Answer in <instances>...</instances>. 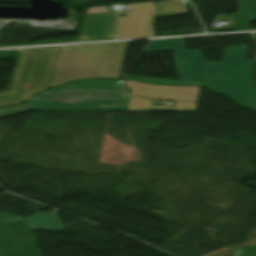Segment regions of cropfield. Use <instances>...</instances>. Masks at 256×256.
I'll list each match as a JSON object with an SVG mask.
<instances>
[{"label":"crop field","instance_id":"8a807250","mask_svg":"<svg viewBox=\"0 0 256 256\" xmlns=\"http://www.w3.org/2000/svg\"><path fill=\"white\" fill-rule=\"evenodd\" d=\"M128 42L60 47L49 88L73 80L120 79Z\"/></svg>","mask_w":256,"mask_h":256},{"label":"crop field","instance_id":"ac0d7876","mask_svg":"<svg viewBox=\"0 0 256 256\" xmlns=\"http://www.w3.org/2000/svg\"><path fill=\"white\" fill-rule=\"evenodd\" d=\"M116 80H90L35 95L33 110H126L128 96Z\"/></svg>","mask_w":256,"mask_h":256},{"label":"crop field","instance_id":"34b2d1b8","mask_svg":"<svg viewBox=\"0 0 256 256\" xmlns=\"http://www.w3.org/2000/svg\"><path fill=\"white\" fill-rule=\"evenodd\" d=\"M252 66L253 61H246V46L226 48L223 62H207L202 86L254 108L256 83L251 80Z\"/></svg>","mask_w":256,"mask_h":256},{"label":"crop field","instance_id":"412701ff","mask_svg":"<svg viewBox=\"0 0 256 256\" xmlns=\"http://www.w3.org/2000/svg\"><path fill=\"white\" fill-rule=\"evenodd\" d=\"M59 47L22 50L10 90L0 92V107L20 103L47 89Z\"/></svg>","mask_w":256,"mask_h":256},{"label":"crop field","instance_id":"f4fd0767","mask_svg":"<svg viewBox=\"0 0 256 256\" xmlns=\"http://www.w3.org/2000/svg\"><path fill=\"white\" fill-rule=\"evenodd\" d=\"M174 50L180 80L201 82L204 59L200 50H186L183 39L153 40L145 52Z\"/></svg>","mask_w":256,"mask_h":256},{"label":"crop field","instance_id":"dd49c442","mask_svg":"<svg viewBox=\"0 0 256 256\" xmlns=\"http://www.w3.org/2000/svg\"><path fill=\"white\" fill-rule=\"evenodd\" d=\"M0 256H40L26 220L0 225Z\"/></svg>","mask_w":256,"mask_h":256},{"label":"crop field","instance_id":"e52e79f7","mask_svg":"<svg viewBox=\"0 0 256 256\" xmlns=\"http://www.w3.org/2000/svg\"><path fill=\"white\" fill-rule=\"evenodd\" d=\"M130 13L127 18H121L118 39L154 36V3H139L125 5Z\"/></svg>","mask_w":256,"mask_h":256},{"label":"crop field","instance_id":"d8731c3e","mask_svg":"<svg viewBox=\"0 0 256 256\" xmlns=\"http://www.w3.org/2000/svg\"><path fill=\"white\" fill-rule=\"evenodd\" d=\"M124 84L131 90L129 92L130 95L168 101L196 102L200 89L192 87L147 85L134 81H125Z\"/></svg>","mask_w":256,"mask_h":256},{"label":"crop field","instance_id":"5a996713","mask_svg":"<svg viewBox=\"0 0 256 256\" xmlns=\"http://www.w3.org/2000/svg\"><path fill=\"white\" fill-rule=\"evenodd\" d=\"M118 13L86 15L78 41L114 39Z\"/></svg>","mask_w":256,"mask_h":256},{"label":"crop field","instance_id":"3316defc","mask_svg":"<svg viewBox=\"0 0 256 256\" xmlns=\"http://www.w3.org/2000/svg\"><path fill=\"white\" fill-rule=\"evenodd\" d=\"M197 103L176 102L175 106H151V101L129 97L127 110L130 111H196Z\"/></svg>","mask_w":256,"mask_h":256},{"label":"crop field","instance_id":"28ad6ade","mask_svg":"<svg viewBox=\"0 0 256 256\" xmlns=\"http://www.w3.org/2000/svg\"><path fill=\"white\" fill-rule=\"evenodd\" d=\"M239 12L232 15L234 30L249 29L248 22L256 21V0H237Z\"/></svg>","mask_w":256,"mask_h":256},{"label":"crop field","instance_id":"d1516ede","mask_svg":"<svg viewBox=\"0 0 256 256\" xmlns=\"http://www.w3.org/2000/svg\"><path fill=\"white\" fill-rule=\"evenodd\" d=\"M27 221L32 230H44L50 232H57L64 229L55 213H35L27 217Z\"/></svg>","mask_w":256,"mask_h":256},{"label":"crop field","instance_id":"22f410ed","mask_svg":"<svg viewBox=\"0 0 256 256\" xmlns=\"http://www.w3.org/2000/svg\"><path fill=\"white\" fill-rule=\"evenodd\" d=\"M187 13L185 0L161 1L155 6V16H171Z\"/></svg>","mask_w":256,"mask_h":256},{"label":"crop field","instance_id":"cbeb9de0","mask_svg":"<svg viewBox=\"0 0 256 256\" xmlns=\"http://www.w3.org/2000/svg\"><path fill=\"white\" fill-rule=\"evenodd\" d=\"M125 79H136V80H139V81H143V82H147V83H153V84L200 86V83H195V82L175 81V80L156 79V78H142V77L126 76Z\"/></svg>","mask_w":256,"mask_h":256},{"label":"crop field","instance_id":"5142ce71","mask_svg":"<svg viewBox=\"0 0 256 256\" xmlns=\"http://www.w3.org/2000/svg\"><path fill=\"white\" fill-rule=\"evenodd\" d=\"M28 110L29 109L27 108V106L25 104L9 106V107L0 109V117L5 116V115L14 114V113L24 112V111H28Z\"/></svg>","mask_w":256,"mask_h":256},{"label":"crop field","instance_id":"d9b57169","mask_svg":"<svg viewBox=\"0 0 256 256\" xmlns=\"http://www.w3.org/2000/svg\"><path fill=\"white\" fill-rule=\"evenodd\" d=\"M232 256H256V247H236Z\"/></svg>","mask_w":256,"mask_h":256},{"label":"crop field","instance_id":"733c2abd","mask_svg":"<svg viewBox=\"0 0 256 256\" xmlns=\"http://www.w3.org/2000/svg\"><path fill=\"white\" fill-rule=\"evenodd\" d=\"M21 219H23V218L0 212V224L13 222V221L21 220Z\"/></svg>","mask_w":256,"mask_h":256},{"label":"crop field","instance_id":"4a817a6b","mask_svg":"<svg viewBox=\"0 0 256 256\" xmlns=\"http://www.w3.org/2000/svg\"><path fill=\"white\" fill-rule=\"evenodd\" d=\"M108 7H96L92 9H87L86 14H91V13H101V12H107Z\"/></svg>","mask_w":256,"mask_h":256},{"label":"crop field","instance_id":"bc2a9ffb","mask_svg":"<svg viewBox=\"0 0 256 256\" xmlns=\"http://www.w3.org/2000/svg\"><path fill=\"white\" fill-rule=\"evenodd\" d=\"M255 40H256V34H254Z\"/></svg>","mask_w":256,"mask_h":256},{"label":"crop field","instance_id":"214f88e0","mask_svg":"<svg viewBox=\"0 0 256 256\" xmlns=\"http://www.w3.org/2000/svg\"><path fill=\"white\" fill-rule=\"evenodd\" d=\"M254 111L256 112V108L254 109Z\"/></svg>","mask_w":256,"mask_h":256}]
</instances>
